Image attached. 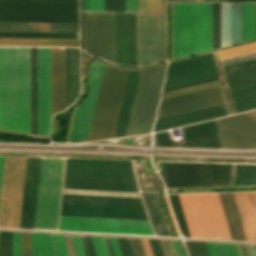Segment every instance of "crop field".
Listing matches in <instances>:
<instances>
[{"mask_svg": "<svg viewBox=\"0 0 256 256\" xmlns=\"http://www.w3.org/2000/svg\"><path fill=\"white\" fill-rule=\"evenodd\" d=\"M127 72L105 64L87 141L112 138Z\"/></svg>", "mask_w": 256, "mask_h": 256, "instance_id": "obj_4", "label": "crop field"}, {"mask_svg": "<svg viewBox=\"0 0 256 256\" xmlns=\"http://www.w3.org/2000/svg\"><path fill=\"white\" fill-rule=\"evenodd\" d=\"M232 239L245 240L231 193H218Z\"/></svg>", "mask_w": 256, "mask_h": 256, "instance_id": "obj_31", "label": "crop field"}, {"mask_svg": "<svg viewBox=\"0 0 256 256\" xmlns=\"http://www.w3.org/2000/svg\"><path fill=\"white\" fill-rule=\"evenodd\" d=\"M154 233L170 236L154 193L141 192Z\"/></svg>", "mask_w": 256, "mask_h": 256, "instance_id": "obj_32", "label": "crop field"}, {"mask_svg": "<svg viewBox=\"0 0 256 256\" xmlns=\"http://www.w3.org/2000/svg\"><path fill=\"white\" fill-rule=\"evenodd\" d=\"M26 158L5 157L0 227L18 228Z\"/></svg>", "mask_w": 256, "mask_h": 256, "instance_id": "obj_10", "label": "crop field"}, {"mask_svg": "<svg viewBox=\"0 0 256 256\" xmlns=\"http://www.w3.org/2000/svg\"><path fill=\"white\" fill-rule=\"evenodd\" d=\"M233 113L256 108V81L227 88Z\"/></svg>", "mask_w": 256, "mask_h": 256, "instance_id": "obj_28", "label": "crop field"}, {"mask_svg": "<svg viewBox=\"0 0 256 256\" xmlns=\"http://www.w3.org/2000/svg\"><path fill=\"white\" fill-rule=\"evenodd\" d=\"M190 242V246H191V249H192V253H193V256H198V253H197V250H196V247H195V243L194 242Z\"/></svg>", "mask_w": 256, "mask_h": 256, "instance_id": "obj_74", "label": "crop field"}, {"mask_svg": "<svg viewBox=\"0 0 256 256\" xmlns=\"http://www.w3.org/2000/svg\"><path fill=\"white\" fill-rule=\"evenodd\" d=\"M227 1H256V0H227Z\"/></svg>", "mask_w": 256, "mask_h": 256, "instance_id": "obj_82", "label": "crop field"}, {"mask_svg": "<svg viewBox=\"0 0 256 256\" xmlns=\"http://www.w3.org/2000/svg\"><path fill=\"white\" fill-rule=\"evenodd\" d=\"M126 12H138V0H126Z\"/></svg>", "mask_w": 256, "mask_h": 256, "instance_id": "obj_60", "label": "crop field"}, {"mask_svg": "<svg viewBox=\"0 0 256 256\" xmlns=\"http://www.w3.org/2000/svg\"><path fill=\"white\" fill-rule=\"evenodd\" d=\"M228 115L226 104H219L180 114L158 118L155 121L154 132L170 129L182 125L200 122L212 118Z\"/></svg>", "mask_w": 256, "mask_h": 256, "instance_id": "obj_21", "label": "crop field"}, {"mask_svg": "<svg viewBox=\"0 0 256 256\" xmlns=\"http://www.w3.org/2000/svg\"><path fill=\"white\" fill-rule=\"evenodd\" d=\"M139 71L129 70L113 138L125 136L140 76Z\"/></svg>", "mask_w": 256, "mask_h": 256, "instance_id": "obj_25", "label": "crop field"}, {"mask_svg": "<svg viewBox=\"0 0 256 256\" xmlns=\"http://www.w3.org/2000/svg\"><path fill=\"white\" fill-rule=\"evenodd\" d=\"M122 256H134L129 239L128 238H116Z\"/></svg>", "mask_w": 256, "mask_h": 256, "instance_id": "obj_48", "label": "crop field"}, {"mask_svg": "<svg viewBox=\"0 0 256 256\" xmlns=\"http://www.w3.org/2000/svg\"><path fill=\"white\" fill-rule=\"evenodd\" d=\"M38 136L50 134V48H37Z\"/></svg>", "mask_w": 256, "mask_h": 256, "instance_id": "obj_18", "label": "crop field"}, {"mask_svg": "<svg viewBox=\"0 0 256 256\" xmlns=\"http://www.w3.org/2000/svg\"><path fill=\"white\" fill-rule=\"evenodd\" d=\"M40 158H27L19 228L33 229Z\"/></svg>", "mask_w": 256, "mask_h": 256, "instance_id": "obj_20", "label": "crop field"}, {"mask_svg": "<svg viewBox=\"0 0 256 256\" xmlns=\"http://www.w3.org/2000/svg\"><path fill=\"white\" fill-rule=\"evenodd\" d=\"M92 237L94 248L97 256H109L105 241L103 237Z\"/></svg>", "mask_w": 256, "mask_h": 256, "instance_id": "obj_47", "label": "crop field"}, {"mask_svg": "<svg viewBox=\"0 0 256 256\" xmlns=\"http://www.w3.org/2000/svg\"><path fill=\"white\" fill-rule=\"evenodd\" d=\"M223 102V91L219 85L161 100L156 118Z\"/></svg>", "mask_w": 256, "mask_h": 256, "instance_id": "obj_17", "label": "crop field"}, {"mask_svg": "<svg viewBox=\"0 0 256 256\" xmlns=\"http://www.w3.org/2000/svg\"><path fill=\"white\" fill-rule=\"evenodd\" d=\"M0 133H4V134H14V133H9V132H5V131H0ZM23 136H25V135H23ZM25 137L36 138V137H31V136H25ZM38 139H48V137H41V138H38Z\"/></svg>", "mask_w": 256, "mask_h": 256, "instance_id": "obj_79", "label": "crop field"}, {"mask_svg": "<svg viewBox=\"0 0 256 256\" xmlns=\"http://www.w3.org/2000/svg\"><path fill=\"white\" fill-rule=\"evenodd\" d=\"M220 79L219 77L163 90L162 93Z\"/></svg>", "mask_w": 256, "mask_h": 256, "instance_id": "obj_61", "label": "crop field"}, {"mask_svg": "<svg viewBox=\"0 0 256 256\" xmlns=\"http://www.w3.org/2000/svg\"><path fill=\"white\" fill-rule=\"evenodd\" d=\"M0 37L78 38V33L0 32Z\"/></svg>", "mask_w": 256, "mask_h": 256, "instance_id": "obj_38", "label": "crop field"}, {"mask_svg": "<svg viewBox=\"0 0 256 256\" xmlns=\"http://www.w3.org/2000/svg\"><path fill=\"white\" fill-rule=\"evenodd\" d=\"M3 161H4V157H0V188H1V179H2Z\"/></svg>", "mask_w": 256, "mask_h": 256, "instance_id": "obj_73", "label": "crop field"}, {"mask_svg": "<svg viewBox=\"0 0 256 256\" xmlns=\"http://www.w3.org/2000/svg\"><path fill=\"white\" fill-rule=\"evenodd\" d=\"M130 242H131L135 256H144L140 240L139 239H130Z\"/></svg>", "mask_w": 256, "mask_h": 256, "instance_id": "obj_56", "label": "crop field"}, {"mask_svg": "<svg viewBox=\"0 0 256 256\" xmlns=\"http://www.w3.org/2000/svg\"><path fill=\"white\" fill-rule=\"evenodd\" d=\"M256 246V245H255Z\"/></svg>", "mask_w": 256, "mask_h": 256, "instance_id": "obj_84", "label": "crop field"}, {"mask_svg": "<svg viewBox=\"0 0 256 256\" xmlns=\"http://www.w3.org/2000/svg\"><path fill=\"white\" fill-rule=\"evenodd\" d=\"M115 63L136 66L135 14L115 13Z\"/></svg>", "mask_w": 256, "mask_h": 256, "instance_id": "obj_19", "label": "crop field"}, {"mask_svg": "<svg viewBox=\"0 0 256 256\" xmlns=\"http://www.w3.org/2000/svg\"><path fill=\"white\" fill-rule=\"evenodd\" d=\"M166 187L231 185L232 164L160 162Z\"/></svg>", "mask_w": 256, "mask_h": 256, "instance_id": "obj_7", "label": "crop field"}, {"mask_svg": "<svg viewBox=\"0 0 256 256\" xmlns=\"http://www.w3.org/2000/svg\"><path fill=\"white\" fill-rule=\"evenodd\" d=\"M183 142H172L169 131L154 134L156 146L222 148L215 120L180 128Z\"/></svg>", "mask_w": 256, "mask_h": 256, "instance_id": "obj_16", "label": "crop field"}, {"mask_svg": "<svg viewBox=\"0 0 256 256\" xmlns=\"http://www.w3.org/2000/svg\"><path fill=\"white\" fill-rule=\"evenodd\" d=\"M183 236L190 237L177 195H168Z\"/></svg>", "mask_w": 256, "mask_h": 256, "instance_id": "obj_43", "label": "crop field"}, {"mask_svg": "<svg viewBox=\"0 0 256 256\" xmlns=\"http://www.w3.org/2000/svg\"><path fill=\"white\" fill-rule=\"evenodd\" d=\"M178 196L191 237L231 239L217 193Z\"/></svg>", "mask_w": 256, "mask_h": 256, "instance_id": "obj_5", "label": "crop field"}, {"mask_svg": "<svg viewBox=\"0 0 256 256\" xmlns=\"http://www.w3.org/2000/svg\"><path fill=\"white\" fill-rule=\"evenodd\" d=\"M0 31L78 32V24L0 22Z\"/></svg>", "mask_w": 256, "mask_h": 256, "instance_id": "obj_30", "label": "crop field"}, {"mask_svg": "<svg viewBox=\"0 0 256 256\" xmlns=\"http://www.w3.org/2000/svg\"><path fill=\"white\" fill-rule=\"evenodd\" d=\"M241 42V3H222V47ZM212 50L211 3H172V59Z\"/></svg>", "mask_w": 256, "mask_h": 256, "instance_id": "obj_1", "label": "crop field"}, {"mask_svg": "<svg viewBox=\"0 0 256 256\" xmlns=\"http://www.w3.org/2000/svg\"><path fill=\"white\" fill-rule=\"evenodd\" d=\"M31 134L37 136L36 48L31 47Z\"/></svg>", "mask_w": 256, "mask_h": 256, "instance_id": "obj_34", "label": "crop field"}, {"mask_svg": "<svg viewBox=\"0 0 256 256\" xmlns=\"http://www.w3.org/2000/svg\"><path fill=\"white\" fill-rule=\"evenodd\" d=\"M234 185H256V165L235 164Z\"/></svg>", "mask_w": 256, "mask_h": 256, "instance_id": "obj_36", "label": "crop field"}, {"mask_svg": "<svg viewBox=\"0 0 256 256\" xmlns=\"http://www.w3.org/2000/svg\"><path fill=\"white\" fill-rule=\"evenodd\" d=\"M0 21L78 23V4L0 3Z\"/></svg>", "mask_w": 256, "mask_h": 256, "instance_id": "obj_9", "label": "crop field"}, {"mask_svg": "<svg viewBox=\"0 0 256 256\" xmlns=\"http://www.w3.org/2000/svg\"><path fill=\"white\" fill-rule=\"evenodd\" d=\"M148 240H149L153 255L154 256H163L159 241L156 239H148Z\"/></svg>", "mask_w": 256, "mask_h": 256, "instance_id": "obj_57", "label": "crop field"}, {"mask_svg": "<svg viewBox=\"0 0 256 256\" xmlns=\"http://www.w3.org/2000/svg\"><path fill=\"white\" fill-rule=\"evenodd\" d=\"M216 256H224L223 248L221 243H212Z\"/></svg>", "mask_w": 256, "mask_h": 256, "instance_id": "obj_66", "label": "crop field"}, {"mask_svg": "<svg viewBox=\"0 0 256 256\" xmlns=\"http://www.w3.org/2000/svg\"><path fill=\"white\" fill-rule=\"evenodd\" d=\"M216 122L223 148H256V110Z\"/></svg>", "mask_w": 256, "mask_h": 256, "instance_id": "obj_14", "label": "crop field"}, {"mask_svg": "<svg viewBox=\"0 0 256 256\" xmlns=\"http://www.w3.org/2000/svg\"><path fill=\"white\" fill-rule=\"evenodd\" d=\"M32 256H53L50 234L30 233Z\"/></svg>", "mask_w": 256, "mask_h": 256, "instance_id": "obj_35", "label": "crop field"}, {"mask_svg": "<svg viewBox=\"0 0 256 256\" xmlns=\"http://www.w3.org/2000/svg\"><path fill=\"white\" fill-rule=\"evenodd\" d=\"M104 11L125 12V0H104Z\"/></svg>", "mask_w": 256, "mask_h": 256, "instance_id": "obj_46", "label": "crop field"}, {"mask_svg": "<svg viewBox=\"0 0 256 256\" xmlns=\"http://www.w3.org/2000/svg\"><path fill=\"white\" fill-rule=\"evenodd\" d=\"M104 63L94 60L88 67L90 93L85 102L74 110L67 142H84L87 139Z\"/></svg>", "mask_w": 256, "mask_h": 256, "instance_id": "obj_15", "label": "crop field"}, {"mask_svg": "<svg viewBox=\"0 0 256 256\" xmlns=\"http://www.w3.org/2000/svg\"><path fill=\"white\" fill-rule=\"evenodd\" d=\"M242 245L244 256H256V250L254 245Z\"/></svg>", "mask_w": 256, "mask_h": 256, "instance_id": "obj_62", "label": "crop field"}, {"mask_svg": "<svg viewBox=\"0 0 256 256\" xmlns=\"http://www.w3.org/2000/svg\"><path fill=\"white\" fill-rule=\"evenodd\" d=\"M173 241V244H174V247H175V250H176V253H177V256H182V253L180 251V248H179V245H178V242L177 241Z\"/></svg>", "mask_w": 256, "mask_h": 256, "instance_id": "obj_72", "label": "crop field"}, {"mask_svg": "<svg viewBox=\"0 0 256 256\" xmlns=\"http://www.w3.org/2000/svg\"><path fill=\"white\" fill-rule=\"evenodd\" d=\"M51 238H52L53 254L54 256H59L55 234H51Z\"/></svg>", "mask_w": 256, "mask_h": 256, "instance_id": "obj_70", "label": "crop field"}, {"mask_svg": "<svg viewBox=\"0 0 256 256\" xmlns=\"http://www.w3.org/2000/svg\"><path fill=\"white\" fill-rule=\"evenodd\" d=\"M252 40V3H242V42Z\"/></svg>", "mask_w": 256, "mask_h": 256, "instance_id": "obj_39", "label": "crop field"}, {"mask_svg": "<svg viewBox=\"0 0 256 256\" xmlns=\"http://www.w3.org/2000/svg\"><path fill=\"white\" fill-rule=\"evenodd\" d=\"M222 68L227 87L256 80V59Z\"/></svg>", "mask_w": 256, "mask_h": 256, "instance_id": "obj_29", "label": "crop field"}, {"mask_svg": "<svg viewBox=\"0 0 256 256\" xmlns=\"http://www.w3.org/2000/svg\"><path fill=\"white\" fill-rule=\"evenodd\" d=\"M84 51L114 62V13L84 12Z\"/></svg>", "mask_w": 256, "mask_h": 256, "instance_id": "obj_12", "label": "crop field"}, {"mask_svg": "<svg viewBox=\"0 0 256 256\" xmlns=\"http://www.w3.org/2000/svg\"><path fill=\"white\" fill-rule=\"evenodd\" d=\"M60 256H68L64 235L56 234Z\"/></svg>", "mask_w": 256, "mask_h": 256, "instance_id": "obj_55", "label": "crop field"}, {"mask_svg": "<svg viewBox=\"0 0 256 256\" xmlns=\"http://www.w3.org/2000/svg\"><path fill=\"white\" fill-rule=\"evenodd\" d=\"M166 66L142 70L126 136L150 133Z\"/></svg>", "mask_w": 256, "mask_h": 256, "instance_id": "obj_8", "label": "crop field"}, {"mask_svg": "<svg viewBox=\"0 0 256 256\" xmlns=\"http://www.w3.org/2000/svg\"><path fill=\"white\" fill-rule=\"evenodd\" d=\"M222 244H223L225 256H238L234 244H226V243H222Z\"/></svg>", "mask_w": 256, "mask_h": 256, "instance_id": "obj_59", "label": "crop field"}, {"mask_svg": "<svg viewBox=\"0 0 256 256\" xmlns=\"http://www.w3.org/2000/svg\"><path fill=\"white\" fill-rule=\"evenodd\" d=\"M60 215L148 220L144 210L61 205Z\"/></svg>", "mask_w": 256, "mask_h": 256, "instance_id": "obj_23", "label": "crop field"}, {"mask_svg": "<svg viewBox=\"0 0 256 256\" xmlns=\"http://www.w3.org/2000/svg\"><path fill=\"white\" fill-rule=\"evenodd\" d=\"M0 45L78 46V39L0 38Z\"/></svg>", "mask_w": 256, "mask_h": 256, "instance_id": "obj_33", "label": "crop field"}, {"mask_svg": "<svg viewBox=\"0 0 256 256\" xmlns=\"http://www.w3.org/2000/svg\"><path fill=\"white\" fill-rule=\"evenodd\" d=\"M59 230L153 235L148 221L60 216Z\"/></svg>", "mask_w": 256, "mask_h": 256, "instance_id": "obj_13", "label": "crop field"}, {"mask_svg": "<svg viewBox=\"0 0 256 256\" xmlns=\"http://www.w3.org/2000/svg\"><path fill=\"white\" fill-rule=\"evenodd\" d=\"M164 256H176L173 244L171 240H159Z\"/></svg>", "mask_w": 256, "mask_h": 256, "instance_id": "obj_51", "label": "crop field"}, {"mask_svg": "<svg viewBox=\"0 0 256 256\" xmlns=\"http://www.w3.org/2000/svg\"><path fill=\"white\" fill-rule=\"evenodd\" d=\"M246 240H256V192L232 193Z\"/></svg>", "mask_w": 256, "mask_h": 256, "instance_id": "obj_24", "label": "crop field"}, {"mask_svg": "<svg viewBox=\"0 0 256 256\" xmlns=\"http://www.w3.org/2000/svg\"><path fill=\"white\" fill-rule=\"evenodd\" d=\"M104 238H105V241H106V244H107V247H108L110 256H114V255H113V252H112V249H111V246H110V244H109L108 238H107V237H104Z\"/></svg>", "mask_w": 256, "mask_h": 256, "instance_id": "obj_76", "label": "crop field"}, {"mask_svg": "<svg viewBox=\"0 0 256 256\" xmlns=\"http://www.w3.org/2000/svg\"><path fill=\"white\" fill-rule=\"evenodd\" d=\"M164 196H165L166 202H167V204H168V207H169V210H170L171 216H172V218H173V221H174V224H175L176 230H177V232H178V235L180 236L179 231H178V228H177L176 223H175V220H174V217H173V214H172V212H171V209H170L169 203H168V201H167L166 195L164 194Z\"/></svg>", "mask_w": 256, "mask_h": 256, "instance_id": "obj_77", "label": "crop field"}, {"mask_svg": "<svg viewBox=\"0 0 256 256\" xmlns=\"http://www.w3.org/2000/svg\"><path fill=\"white\" fill-rule=\"evenodd\" d=\"M172 2H196V0H172Z\"/></svg>", "mask_w": 256, "mask_h": 256, "instance_id": "obj_80", "label": "crop field"}, {"mask_svg": "<svg viewBox=\"0 0 256 256\" xmlns=\"http://www.w3.org/2000/svg\"><path fill=\"white\" fill-rule=\"evenodd\" d=\"M64 108V50L51 48V116Z\"/></svg>", "mask_w": 256, "mask_h": 256, "instance_id": "obj_22", "label": "crop field"}, {"mask_svg": "<svg viewBox=\"0 0 256 256\" xmlns=\"http://www.w3.org/2000/svg\"><path fill=\"white\" fill-rule=\"evenodd\" d=\"M219 84H221L220 80L202 84V85L189 87V88H185V89H180V90H176V91H172V92H168V93H164V94H162L161 99L179 95V94H183V93H187V92H191V91H195V90H199V89H203V88H207V87H211V86H215V85H219Z\"/></svg>", "mask_w": 256, "mask_h": 256, "instance_id": "obj_45", "label": "crop field"}, {"mask_svg": "<svg viewBox=\"0 0 256 256\" xmlns=\"http://www.w3.org/2000/svg\"><path fill=\"white\" fill-rule=\"evenodd\" d=\"M199 256H209L205 242H195Z\"/></svg>", "mask_w": 256, "mask_h": 256, "instance_id": "obj_63", "label": "crop field"}, {"mask_svg": "<svg viewBox=\"0 0 256 256\" xmlns=\"http://www.w3.org/2000/svg\"><path fill=\"white\" fill-rule=\"evenodd\" d=\"M166 60V15L137 14V66Z\"/></svg>", "mask_w": 256, "mask_h": 256, "instance_id": "obj_11", "label": "crop field"}, {"mask_svg": "<svg viewBox=\"0 0 256 256\" xmlns=\"http://www.w3.org/2000/svg\"><path fill=\"white\" fill-rule=\"evenodd\" d=\"M256 39V3H253V40Z\"/></svg>", "mask_w": 256, "mask_h": 256, "instance_id": "obj_67", "label": "crop field"}, {"mask_svg": "<svg viewBox=\"0 0 256 256\" xmlns=\"http://www.w3.org/2000/svg\"><path fill=\"white\" fill-rule=\"evenodd\" d=\"M71 237H72L75 256H84L81 241H80V237L75 236V235H71Z\"/></svg>", "mask_w": 256, "mask_h": 256, "instance_id": "obj_54", "label": "crop field"}, {"mask_svg": "<svg viewBox=\"0 0 256 256\" xmlns=\"http://www.w3.org/2000/svg\"><path fill=\"white\" fill-rule=\"evenodd\" d=\"M80 237H81V241H82V244H83L85 255L89 256L87 245H86V241H85V237L84 236H80Z\"/></svg>", "mask_w": 256, "mask_h": 256, "instance_id": "obj_71", "label": "crop field"}, {"mask_svg": "<svg viewBox=\"0 0 256 256\" xmlns=\"http://www.w3.org/2000/svg\"><path fill=\"white\" fill-rule=\"evenodd\" d=\"M13 256H21L20 232H13Z\"/></svg>", "mask_w": 256, "mask_h": 256, "instance_id": "obj_53", "label": "crop field"}, {"mask_svg": "<svg viewBox=\"0 0 256 256\" xmlns=\"http://www.w3.org/2000/svg\"><path fill=\"white\" fill-rule=\"evenodd\" d=\"M0 129L30 134V47H0Z\"/></svg>", "mask_w": 256, "mask_h": 256, "instance_id": "obj_2", "label": "crop field"}, {"mask_svg": "<svg viewBox=\"0 0 256 256\" xmlns=\"http://www.w3.org/2000/svg\"><path fill=\"white\" fill-rule=\"evenodd\" d=\"M235 245H236V249H237L238 255L239 256H243L241 245L240 244H235Z\"/></svg>", "mask_w": 256, "mask_h": 256, "instance_id": "obj_78", "label": "crop field"}, {"mask_svg": "<svg viewBox=\"0 0 256 256\" xmlns=\"http://www.w3.org/2000/svg\"><path fill=\"white\" fill-rule=\"evenodd\" d=\"M84 10L103 11V0H84Z\"/></svg>", "mask_w": 256, "mask_h": 256, "instance_id": "obj_49", "label": "crop field"}, {"mask_svg": "<svg viewBox=\"0 0 256 256\" xmlns=\"http://www.w3.org/2000/svg\"><path fill=\"white\" fill-rule=\"evenodd\" d=\"M85 237H86V241H87L90 256H96L94 248H93V244H92V241H91V237L90 236H85Z\"/></svg>", "mask_w": 256, "mask_h": 256, "instance_id": "obj_69", "label": "crop field"}, {"mask_svg": "<svg viewBox=\"0 0 256 256\" xmlns=\"http://www.w3.org/2000/svg\"><path fill=\"white\" fill-rule=\"evenodd\" d=\"M252 52H256V43L222 50V51H219V54H220L221 60H223V59L244 55Z\"/></svg>", "mask_w": 256, "mask_h": 256, "instance_id": "obj_42", "label": "crop field"}, {"mask_svg": "<svg viewBox=\"0 0 256 256\" xmlns=\"http://www.w3.org/2000/svg\"><path fill=\"white\" fill-rule=\"evenodd\" d=\"M140 240H141L145 255L146 256H153L152 252H151V249H150V246H149V243H148V240L147 239H140Z\"/></svg>", "mask_w": 256, "mask_h": 256, "instance_id": "obj_65", "label": "crop field"}, {"mask_svg": "<svg viewBox=\"0 0 256 256\" xmlns=\"http://www.w3.org/2000/svg\"><path fill=\"white\" fill-rule=\"evenodd\" d=\"M217 76H219V74H218L217 68H215V69H211V70H207V71H203V72L167 80L164 83L163 89L173 87V86L182 85V84H187V83H191V82H195V81H200V80H204V79H209V78H213V77H217Z\"/></svg>", "mask_w": 256, "mask_h": 256, "instance_id": "obj_37", "label": "crop field"}, {"mask_svg": "<svg viewBox=\"0 0 256 256\" xmlns=\"http://www.w3.org/2000/svg\"><path fill=\"white\" fill-rule=\"evenodd\" d=\"M92 60V57L88 56L81 50V78L84 77L86 65Z\"/></svg>", "mask_w": 256, "mask_h": 256, "instance_id": "obj_58", "label": "crop field"}, {"mask_svg": "<svg viewBox=\"0 0 256 256\" xmlns=\"http://www.w3.org/2000/svg\"><path fill=\"white\" fill-rule=\"evenodd\" d=\"M63 194L140 198L138 193L63 189Z\"/></svg>", "mask_w": 256, "mask_h": 256, "instance_id": "obj_40", "label": "crop field"}, {"mask_svg": "<svg viewBox=\"0 0 256 256\" xmlns=\"http://www.w3.org/2000/svg\"><path fill=\"white\" fill-rule=\"evenodd\" d=\"M65 237H66V242H67V248H68L69 256H74L72 242H71V237H70V235H65Z\"/></svg>", "mask_w": 256, "mask_h": 256, "instance_id": "obj_68", "label": "crop field"}, {"mask_svg": "<svg viewBox=\"0 0 256 256\" xmlns=\"http://www.w3.org/2000/svg\"><path fill=\"white\" fill-rule=\"evenodd\" d=\"M253 58H256V53L223 60V61H221V64H222V66H224V65H228V64H232V63H236V62H240V61H245V60H249V59H253Z\"/></svg>", "mask_w": 256, "mask_h": 256, "instance_id": "obj_52", "label": "crop field"}, {"mask_svg": "<svg viewBox=\"0 0 256 256\" xmlns=\"http://www.w3.org/2000/svg\"><path fill=\"white\" fill-rule=\"evenodd\" d=\"M139 12L166 13V0H139Z\"/></svg>", "mask_w": 256, "mask_h": 256, "instance_id": "obj_41", "label": "crop field"}, {"mask_svg": "<svg viewBox=\"0 0 256 256\" xmlns=\"http://www.w3.org/2000/svg\"><path fill=\"white\" fill-rule=\"evenodd\" d=\"M63 164L41 158L34 229L57 230Z\"/></svg>", "mask_w": 256, "mask_h": 256, "instance_id": "obj_6", "label": "crop field"}, {"mask_svg": "<svg viewBox=\"0 0 256 256\" xmlns=\"http://www.w3.org/2000/svg\"><path fill=\"white\" fill-rule=\"evenodd\" d=\"M61 204L144 209L140 199L63 195Z\"/></svg>", "mask_w": 256, "mask_h": 256, "instance_id": "obj_26", "label": "crop field"}, {"mask_svg": "<svg viewBox=\"0 0 256 256\" xmlns=\"http://www.w3.org/2000/svg\"><path fill=\"white\" fill-rule=\"evenodd\" d=\"M206 243H207L209 255H210V256H215V255H214V252H213L212 244H211V243H208V242H206Z\"/></svg>", "mask_w": 256, "mask_h": 256, "instance_id": "obj_75", "label": "crop field"}, {"mask_svg": "<svg viewBox=\"0 0 256 256\" xmlns=\"http://www.w3.org/2000/svg\"><path fill=\"white\" fill-rule=\"evenodd\" d=\"M12 232L0 231V256H11Z\"/></svg>", "mask_w": 256, "mask_h": 256, "instance_id": "obj_44", "label": "crop field"}, {"mask_svg": "<svg viewBox=\"0 0 256 256\" xmlns=\"http://www.w3.org/2000/svg\"><path fill=\"white\" fill-rule=\"evenodd\" d=\"M215 67L217 66L213 53L172 62L169 63L165 80Z\"/></svg>", "mask_w": 256, "mask_h": 256, "instance_id": "obj_27", "label": "crop field"}, {"mask_svg": "<svg viewBox=\"0 0 256 256\" xmlns=\"http://www.w3.org/2000/svg\"><path fill=\"white\" fill-rule=\"evenodd\" d=\"M181 246H182V249H183L184 255H185V256H187V255H186V252H185V249H184V246H183V245H181Z\"/></svg>", "mask_w": 256, "mask_h": 256, "instance_id": "obj_83", "label": "crop field"}, {"mask_svg": "<svg viewBox=\"0 0 256 256\" xmlns=\"http://www.w3.org/2000/svg\"><path fill=\"white\" fill-rule=\"evenodd\" d=\"M63 188L138 192L131 161L66 159Z\"/></svg>", "mask_w": 256, "mask_h": 256, "instance_id": "obj_3", "label": "crop field"}, {"mask_svg": "<svg viewBox=\"0 0 256 256\" xmlns=\"http://www.w3.org/2000/svg\"><path fill=\"white\" fill-rule=\"evenodd\" d=\"M185 242H186V245H187V248H188L189 255L192 256L191 249H190V246H189V242L188 241H185Z\"/></svg>", "mask_w": 256, "mask_h": 256, "instance_id": "obj_81", "label": "crop field"}, {"mask_svg": "<svg viewBox=\"0 0 256 256\" xmlns=\"http://www.w3.org/2000/svg\"><path fill=\"white\" fill-rule=\"evenodd\" d=\"M22 256H31L29 233L21 232Z\"/></svg>", "mask_w": 256, "mask_h": 256, "instance_id": "obj_50", "label": "crop field"}, {"mask_svg": "<svg viewBox=\"0 0 256 256\" xmlns=\"http://www.w3.org/2000/svg\"><path fill=\"white\" fill-rule=\"evenodd\" d=\"M115 256H121L116 239L108 237Z\"/></svg>", "mask_w": 256, "mask_h": 256, "instance_id": "obj_64", "label": "crop field"}]
</instances>
